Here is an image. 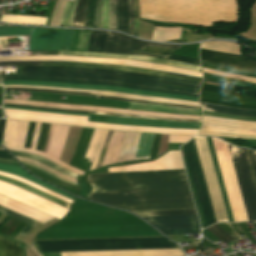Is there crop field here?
Listing matches in <instances>:
<instances>
[{"instance_id":"crop-field-38","label":"crop field","mask_w":256,"mask_h":256,"mask_svg":"<svg viewBox=\"0 0 256 256\" xmlns=\"http://www.w3.org/2000/svg\"><path fill=\"white\" fill-rule=\"evenodd\" d=\"M66 1L73 2V0H57V4H56L55 11H54L50 25H55V26L60 25V21L62 18Z\"/></svg>"},{"instance_id":"crop-field-26","label":"crop field","mask_w":256,"mask_h":256,"mask_svg":"<svg viewBox=\"0 0 256 256\" xmlns=\"http://www.w3.org/2000/svg\"><path fill=\"white\" fill-rule=\"evenodd\" d=\"M0 256H22L18 243L0 235Z\"/></svg>"},{"instance_id":"crop-field-9","label":"crop field","mask_w":256,"mask_h":256,"mask_svg":"<svg viewBox=\"0 0 256 256\" xmlns=\"http://www.w3.org/2000/svg\"><path fill=\"white\" fill-rule=\"evenodd\" d=\"M200 60L204 68L256 76V60L203 49L200 50Z\"/></svg>"},{"instance_id":"crop-field-13","label":"crop field","mask_w":256,"mask_h":256,"mask_svg":"<svg viewBox=\"0 0 256 256\" xmlns=\"http://www.w3.org/2000/svg\"><path fill=\"white\" fill-rule=\"evenodd\" d=\"M200 102L256 109V98L239 96V92L202 84Z\"/></svg>"},{"instance_id":"crop-field-45","label":"crop field","mask_w":256,"mask_h":256,"mask_svg":"<svg viewBox=\"0 0 256 256\" xmlns=\"http://www.w3.org/2000/svg\"><path fill=\"white\" fill-rule=\"evenodd\" d=\"M192 136L170 135L169 142L185 143Z\"/></svg>"},{"instance_id":"crop-field-55","label":"crop field","mask_w":256,"mask_h":256,"mask_svg":"<svg viewBox=\"0 0 256 256\" xmlns=\"http://www.w3.org/2000/svg\"><path fill=\"white\" fill-rule=\"evenodd\" d=\"M219 225L222 226L228 232L232 230L227 224L219 223Z\"/></svg>"},{"instance_id":"crop-field-12","label":"crop field","mask_w":256,"mask_h":256,"mask_svg":"<svg viewBox=\"0 0 256 256\" xmlns=\"http://www.w3.org/2000/svg\"><path fill=\"white\" fill-rule=\"evenodd\" d=\"M5 107L43 111V112H52V113H61V114L83 115V116H89L88 121L133 125V126L199 129L201 124V123L167 122V121H157V120H147V119H137V118L114 117V116H104V115L85 114V113L46 111V110H36V109L9 107V106H5Z\"/></svg>"},{"instance_id":"crop-field-22","label":"crop field","mask_w":256,"mask_h":256,"mask_svg":"<svg viewBox=\"0 0 256 256\" xmlns=\"http://www.w3.org/2000/svg\"><path fill=\"white\" fill-rule=\"evenodd\" d=\"M116 18H117V30L128 32V25H129V1L128 0H118Z\"/></svg>"},{"instance_id":"crop-field-15","label":"crop field","mask_w":256,"mask_h":256,"mask_svg":"<svg viewBox=\"0 0 256 256\" xmlns=\"http://www.w3.org/2000/svg\"><path fill=\"white\" fill-rule=\"evenodd\" d=\"M2 82L4 85L25 84V85H34V86H57V87H68V88H78V89L109 90V91H119V92L139 94V95H149V96L165 97V98L180 99V100L198 101V98H195V97L158 93V92H149V91H140V90H133L128 88L113 87V86H97V85H85V84H73V83H55V82H36V81H24V80H6Z\"/></svg>"},{"instance_id":"crop-field-57","label":"crop field","mask_w":256,"mask_h":256,"mask_svg":"<svg viewBox=\"0 0 256 256\" xmlns=\"http://www.w3.org/2000/svg\"><path fill=\"white\" fill-rule=\"evenodd\" d=\"M204 115H208V114H204ZM209 116H215V115H209ZM221 117V116H219ZM228 118V117H226ZM231 119H235V120H243V119H237V118H231ZM244 121H256V120H244Z\"/></svg>"},{"instance_id":"crop-field-59","label":"crop field","mask_w":256,"mask_h":256,"mask_svg":"<svg viewBox=\"0 0 256 256\" xmlns=\"http://www.w3.org/2000/svg\"><path fill=\"white\" fill-rule=\"evenodd\" d=\"M0 117H3V114H0Z\"/></svg>"},{"instance_id":"crop-field-14","label":"crop field","mask_w":256,"mask_h":256,"mask_svg":"<svg viewBox=\"0 0 256 256\" xmlns=\"http://www.w3.org/2000/svg\"><path fill=\"white\" fill-rule=\"evenodd\" d=\"M165 235L200 233L196 215L143 217Z\"/></svg>"},{"instance_id":"crop-field-51","label":"crop field","mask_w":256,"mask_h":256,"mask_svg":"<svg viewBox=\"0 0 256 256\" xmlns=\"http://www.w3.org/2000/svg\"><path fill=\"white\" fill-rule=\"evenodd\" d=\"M102 1L103 0H99L98 28H101V7H102Z\"/></svg>"},{"instance_id":"crop-field-47","label":"crop field","mask_w":256,"mask_h":256,"mask_svg":"<svg viewBox=\"0 0 256 256\" xmlns=\"http://www.w3.org/2000/svg\"><path fill=\"white\" fill-rule=\"evenodd\" d=\"M249 154H250L253 170H254L255 177H256V152L249 150Z\"/></svg>"},{"instance_id":"crop-field-4","label":"crop field","mask_w":256,"mask_h":256,"mask_svg":"<svg viewBox=\"0 0 256 256\" xmlns=\"http://www.w3.org/2000/svg\"><path fill=\"white\" fill-rule=\"evenodd\" d=\"M40 252L178 248L165 237L35 241Z\"/></svg>"},{"instance_id":"crop-field-37","label":"crop field","mask_w":256,"mask_h":256,"mask_svg":"<svg viewBox=\"0 0 256 256\" xmlns=\"http://www.w3.org/2000/svg\"><path fill=\"white\" fill-rule=\"evenodd\" d=\"M65 29H54L50 50H62Z\"/></svg>"},{"instance_id":"crop-field-31","label":"crop field","mask_w":256,"mask_h":256,"mask_svg":"<svg viewBox=\"0 0 256 256\" xmlns=\"http://www.w3.org/2000/svg\"><path fill=\"white\" fill-rule=\"evenodd\" d=\"M0 180L6 181V182L11 183V184H14V185H16V186H18V187H21V188H24V189H26V190H29V191H31V192H33V193H35V194H37V195H39V196H41V197H44V198H46V199H49V200H51V201H53V202H56V203H58V204H61V205H63V206H66V207H68V208H71V206H72V205L69 204V203H66V202H64V201L58 200V199L53 198V197H51V196H49V195H46V194H44V193H42V192H40V191H37V190H35V189H33V188H30V187L26 186V185H24V184H22V183H20V182H18V181H15V180H12V179H9V178H5V177H1V176H0Z\"/></svg>"},{"instance_id":"crop-field-52","label":"crop field","mask_w":256,"mask_h":256,"mask_svg":"<svg viewBox=\"0 0 256 256\" xmlns=\"http://www.w3.org/2000/svg\"><path fill=\"white\" fill-rule=\"evenodd\" d=\"M0 158L14 160L6 151L0 150Z\"/></svg>"},{"instance_id":"crop-field-58","label":"crop field","mask_w":256,"mask_h":256,"mask_svg":"<svg viewBox=\"0 0 256 256\" xmlns=\"http://www.w3.org/2000/svg\"><path fill=\"white\" fill-rule=\"evenodd\" d=\"M0 160H3V159H0ZM3 161H9V162H15L16 163V161H11V160H3Z\"/></svg>"},{"instance_id":"crop-field-32","label":"crop field","mask_w":256,"mask_h":256,"mask_svg":"<svg viewBox=\"0 0 256 256\" xmlns=\"http://www.w3.org/2000/svg\"><path fill=\"white\" fill-rule=\"evenodd\" d=\"M0 175H1V176H5V177H9V178H12V179H15V180H18V181H21V182H23V183H25V184H27V185H29V186H31V187L37 189V190H40V191H42V192H44V193H46V194H49V195H51V196H53V197L59 198V199H61V200H64V201H66V202H69V203H71V204L73 203L72 200H70V199H68V198H65V197H63V196H61V195H59V194H56V193H54V192H52V191H50V190H48V189H45V188H43V187H40V186H38V185H36V184H33V183H31V182H29V181H27V180H25V179H23V178H21V177L14 176V175H10V174H6V173H2V172H0Z\"/></svg>"},{"instance_id":"crop-field-46","label":"crop field","mask_w":256,"mask_h":256,"mask_svg":"<svg viewBox=\"0 0 256 256\" xmlns=\"http://www.w3.org/2000/svg\"><path fill=\"white\" fill-rule=\"evenodd\" d=\"M130 1V28L129 34L133 35V25H134V9H133V0Z\"/></svg>"},{"instance_id":"crop-field-43","label":"crop field","mask_w":256,"mask_h":256,"mask_svg":"<svg viewBox=\"0 0 256 256\" xmlns=\"http://www.w3.org/2000/svg\"><path fill=\"white\" fill-rule=\"evenodd\" d=\"M134 9H135V26H134V35H138L139 24H140V13H139V6L138 0H134Z\"/></svg>"},{"instance_id":"crop-field-50","label":"crop field","mask_w":256,"mask_h":256,"mask_svg":"<svg viewBox=\"0 0 256 256\" xmlns=\"http://www.w3.org/2000/svg\"><path fill=\"white\" fill-rule=\"evenodd\" d=\"M21 163H22V162H21ZM22 164L29 165V166H31V167H33V168H36V169H38V170H41V169H39V168H37V167L31 165V164H27V163H22ZM41 171H43V170H41ZM43 172H45V171H43ZM45 173H47V172H45ZM47 174L50 175V176H52V177H54V178H56V179H58V180L68 182V181H66V180L57 178V177H55V176H53V175H51V174H49V173H47ZM68 183H71V182H68ZM71 184H74V183H71ZM75 185L80 186V185H78V184H75Z\"/></svg>"},{"instance_id":"crop-field-6","label":"crop field","mask_w":256,"mask_h":256,"mask_svg":"<svg viewBox=\"0 0 256 256\" xmlns=\"http://www.w3.org/2000/svg\"><path fill=\"white\" fill-rule=\"evenodd\" d=\"M146 45L174 49V50H177L181 46V45H165V44L147 43L140 40H136L127 35H120L114 32H108L104 52L146 55V54H143ZM174 52L175 51L173 50L147 46L144 53L165 56V57H168L167 58L168 60L200 66L199 60L171 55ZM148 56H152V55H148Z\"/></svg>"},{"instance_id":"crop-field-40","label":"crop field","mask_w":256,"mask_h":256,"mask_svg":"<svg viewBox=\"0 0 256 256\" xmlns=\"http://www.w3.org/2000/svg\"><path fill=\"white\" fill-rule=\"evenodd\" d=\"M0 212L5 214V215L14 217V218H16L18 220L25 221V222H27L29 224H32V225H35L37 223L36 221H34L32 219H29V218H27V217H25L23 215H20V214L15 213V212H13L11 210H8V209H6V208H4L2 206H0Z\"/></svg>"},{"instance_id":"crop-field-48","label":"crop field","mask_w":256,"mask_h":256,"mask_svg":"<svg viewBox=\"0 0 256 256\" xmlns=\"http://www.w3.org/2000/svg\"><path fill=\"white\" fill-rule=\"evenodd\" d=\"M6 119H0V143L2 144V136L4 132V126H5Z\"/></svg>"},{"instance_id":"crop-field-41","label":"crop field","mask_w":256,"mask_h":256,"mask_svg":"<svg viewBox=\"0 0 256 256\" xmlns=\"http://www.w3.org/2000/svg\"><path fill=\"white\" fill-rule=\"evenodd\" d=\"M116 3H117V0H111L110 9H109L110 29H115V30H116V21H115Z\"/></svg>"},{"instance_id":"crop-field-30","label":"crop field","mask_w":256,"mask_h":256,"mask_svg":"<svg viewBox=\"0 0 256 256\" xmlns=\"http://www.w3.org/2000/svg\"><path fill=\"white\" fill-rule=\"evenodd\" d=\"M11 152L14 155H17V156H22V157L31 158V159H35L37 161H40V162L46 164L47 166H49V167H51V168H53V169H55V170H57V171H59L63 174H66V175H69V176H72V177H75V178L77 177V174H75V173H73V172H71L67 169H64V168H62V167L44 159V158L38 157V156L33 155V154H28V153H20V152H13V151H11Z\"/></svg>"},{"instance_id":"crop-field-28","label":"crop field","mask_w":256,"mask_h":256,"mask_svg":"<svg viewBox=\"0 0 256 256\" xmlns=\"http://www.w3.org/2000/svg\"><path fill=\"white\" fill-rule=\"evenodd\" d=\"M106 33L105 31L91 30L87 51L103 52Z\"/></svg>"},{"instance_id":"crop-field-3","label":"crop field","mask_w":256,"mask_h":256,"mask_svg":"<svg viewBox=\"0 0 256 256\" xmlns=\"http://www.w3.org/2000/svg\"><path fill=\"white\" fill-rule=\"evenodd\" d=\"M141 17L211 26L238 22L237 0H139Z\"/></svg>"},{"instance_id":"crop-field-5","label":"crop field","mask_w":256,"mask_h":256,"mask_svg":"<svg viewBox=\"0 0 256 256\" xmlns=\"http://www.w3.org/2000/svg\"><path fill=\"white\" fill-rule=\"evenodd\" d=\"M7 118L34 120L50 123L69 124L96 127L103 129L113 130H127V131H148V132H164V133H177V134H197L198 130H186V129H164V128H147V127H133L123 125L101 124L95 122H87L88 117L83 116H71L41 112H31L23 110H15L4 108Z\"/></svg>"},{"instance_id":"crop-field-16","label":"crop field","mask_w":256,"mask_h":256,"mask_svg":"<svg viewBox=\"0 0 256 256\" xmlns=\"http://www.w3.org/2000/svg\"><path fill=\"white\" fill-rule=\"evenodd\" d=\"M60 55H73V56H86V57H108V58H122V59H129V60H140V61H150L156 62L161 64H166L170 66H175L184 69H190L201 72L200 67L163 60L159 58L153 57H145V56H138V55H126V54H107V53H95V52H78V51H60Z\"/></svg>"},{"instance_id":"crop-field-54","label":"crop field","mask_w":256,"mask_h":256,"mask_svg":"<svg viewBox=\"0 0 256 256\" xmlns=\"http://www.w3.org/2000/svg\"><path fill=\"white\" fill-rule=\"evenodd\" d=\"M31 228H32V226H30V225L27 224V225L24 227V229L20 232V234L26 235L27 232H28Z\"/></svg>"},{"instance_id":"crop-field-1","label":"crop field","mask_w":256,"mask_h":256,"mask_svg":"<svg viewBox=\"0 0 256 256\" xmlns=\"http://www.w3.org/2000/svg\"><path fill=\"white\" fill-rule=\"evenodd\" d=\"M87 199L129 211L194 207L184 169L99 173Z\"/></svg>"},{"instance_id":"crop-field-7","label":"crop field","mask_w":256,"mask_h":256,"mask_svg":"<svg viewBox=\"0 0 256 256\" xmlns=\"http://www.w3.org/2000/svg\"><path fill=\"white\" fill-rule=\"evenodd\" d=\"M181 148L200 212L203 227L205 228L215 223L216 221L199 162L194 139L181 146Z\"/></svg>"},{"instance_id":"crop-field-19","label":"crop field","mask_w":256,"mask_h":256,"mask_svg":"<svg viewBox=\"0 0 256 256\" xmlns=\"http://www.w3.org/2000/svg\"><path fill=\"white\" fill-rule=\"evenodd\" d=\"M0 171H3V172H7V173H11V174H15V175H19V176H22L38 185H41L45 188H48L56 193H59L61 195H64L66 197H69L71 199H73V197L63 193V191L53 187V186H50L34 177H32L31 175H29L28 173H26L21 167H18V166H14V165H8V164H2L0 163Z\"/></svg>"},{"instance_id":"crop-field-33","label":"crop field","mask_w":256,"mask_h":256,"mask_svg":"<svg viewBox=\"0 0 256 256\" xmlns=\"http://www.w3.org/2000/svg\"><path fill=\"white\" fill-rule=\"evenodd\" d=\"M87 0H78L72 26L85 27V10Z\"/></svg>"},{"instance_id":"crop-field-34","label":"crop field","mask_w":256,"mask_h":256,"mask_svg":"<svg viewBox=\"0 0 256 256\" xmlns=\"http://www.w3.org/2000/svg\"><path fill=\"white\" fill-rule=\"evenodd\" d=\"M7 65H44V64H0V66H7ZM45 65H61V66L91 67V68H104V69L124 70V71H132V72L147 74V75H159V76H166V77H174V78H182V79H188V80H193V81H199V80H194V79H190V78H184V77H178V76H170V75H162V74L149 73V72L136 71V70H128V69L107 68V67H98V66H83V65H64V64H45ZM199 82H201V81H199Z\"/></svg>"},{"instance_id":"crop-field-49","label":"crop field","mask_w":256,"mask_h":256,"mask_svg":"<svg viewBox=\"0 0 256 256\" xmlns=\"http://www.w3.org/2000/svg\"><path fill=\"white\" fill-rule=\"evenodd\" d=\"M76 3H77V0H74L73 8H72L71 15H70V18L68 20L67 26H71L73 15H74V11H75V7H76Z\"/></svg>"},{"instance_id":"crop-field-42","label":"crop field","mask_w":256,"mask_h":256,"mask_svg":"<svg viewBox=\"0 0 256 256\" xmlns=\"http://www.w3.org/2000/svg\"><path fill=\"white\" fill-rule=\"evenodd\" d=\"M110 0L103 1V8H102V28L109 29L108 25V9H109Z\"/></svg>"},{"instance_id":"crop-field-39","label":"crop field","mask_w":256,"mask_h":256,"mask_svg":"<svg viewBox=\"0 0 256 256\" xmlns=\"http://www.w3.org/2000/svg\"><path fill=\"white\" fill-rule=\"evenodd\" d=\"M213 235L217 236L221 240L225 242H230L234 240L232 237H230L228 234H226L217 224L207 228Z\"/></svg>"},{"instance_id":"crop-field-21","label":"crop field","mask_w":256,"mask_h":256,"mask_svg":"<svg viewBox=\"0 0 256 256\" xmlns=\"http://www.w3.org/2000/svg\"><path fill=\"white\" fill-rule=\"evenodd\" d=\"M200 104L203 108V111H206V112L226 113V114H234V115H240V116L256 117V110L237 109V108L216 106V105L203 104V103H200Z\"/></svg>"},{"instance_id":"crop-field-44","label":"crop field","mask_w":256,"mask_h":256,"mask_svg":"<svg viewBox=\"0 0 256 256\" xmlns=\"http://www.w3.org/2000/svg\"><path fill=\"white\" fill-rule=\"evenodd\" d=\"M74 30L66 29L63 50H70Z\"/></svg>"},{"instance_id":"crop-field-29","label":"crop field","mask_w":256,"mask_h":256,"mask_svg":"<svg viewBox=\"0 0 256 256\" xmlns=\"http://www.w3.org/2000/svg\"><path fill=\"white\" fill-rule=\"evenodd\" d=\"M98 0H89L86 10V27L97 28Z\"/></svg>"},{"instance_id":"crop-field-10","label":"crop field","mask_w":256,"mask_h":256,"mask_svg":"<svg viewBox=\"0 0 256 256\" xmlns=\"http://www.w3.org/2000/svg\"><path fill=\"white\" fill-rule=\"evenodd\" d=\"M217 221H228L205 137H194Z\"/></svg>"},{"instance_id":"crop-field-56","label":"crop field","mask_w":256,"mask_h":256,"mask_svg":"<svg viewBox=\"0 0 256 256\" xmlns=\"http://www.w3.org/2000/svg\"><path fill=\"white\" fill-rule=\"evenodd\" d=\"M208 114H214V113H208ZM217 115H223V114H217ZM223 116H229V115H223ZM229 117H238V116H229ZM238 118H247V117H238ZM249 119H256V118H249Z\"/></svg>"},{"instance_id":"crop-field-23","label":"crop field","mask_w":256,"mask_h":256,"mask_svg":"<svg viewBox=\"0 0 256 256\" xmlns=\"http://www.w3.org/2000/svg\"><path fill=\"white\" fill-rule=\"evenodd\" d=\"M3 105H9V104H3ZM9 106H19V107H28V108H36V109L58 110V111L85 112V113H95V114L114 115V116H125V117H137V118L168 120V121H187V122H201L202 121V120H178V119H167V118H155V117L133 116V115H123V114H115V113L84 111V110H69V109L48 108V107H35V106H22V105H9Z\"/></svg>"},{"instance_id":"crop-field-24","label":"crop field","mask_w":256,"mask_h":256,"mask_svg":"<svg viewBox=\"0 0 256 256\" xmlns=\"http://www.w3.org/2000/svg\"><path fill=\"white\" fill-rule=\"evenodd\" d=\"M46 19L35 16L4 15L0 21L14 24L45 25Z\"/></svg>"},{"instance_id":"crop-field-18","label":"crop field","mask_w":256,"mask_h":256,"mask_svg":"<svg viewBox=\"0 0 256 256\" xmlns=\"http://www.w3.org/2000/svg\"><path fill=\"white\" fill-rule=\"evenodd\" d=\"M53 29L32 28L29 50H49Z\"/></svg>"},{"instance_id":"crop-field-20","label":"crop field","mask_w":256,"mask_h":256,"mask_svg":"<svg viewBox=\"0 0 256 256\" xmlns=\"http://www.w3.org/2000/svg\"><path fill=\"white\" fill-rule=\"evenodd\" d=\"M5 90L41 91V92H57V93H69V94L91 95V96H97V98H108V99H117V100H125V101L141 102V103H149V104H158V105H167V106H175V107H184V108L201 109L200 107H194V106H183V105H174V104L147 102V101H139V100H130V99L103 97V96H98L97 93H82V92L60 91V90H47V89H32V88H5Z\"/></svg>"},{"instance_id":"crop-field-17","label":"crop field","mask_w":256,"mask_h":256,"mask_svg":"<svg viewBox=\"0 0 256 256\" xmlns=\"http://www.w3.org/2000/svg\"><path fill=\"white\" fill-rule=\"evenodd\" d=\"M0 205L8 208V209H11L13 211H16L20 214H23L25 216H28L32 219H35L39 222H46L50 219H52L53 217L51 216H48V215H45L43 213H40L36 210H33L17 201H14V200H11L9 198H6V197H3L0 195Z\"/></svg>"},{"instance_id":"crop-field-8","label":"crop field","mask_w":256,"mask_h":256,"mask_svg":"<svg viewBox=\"0 0 256 256\" xmlns=\"http://www.w3.org/2000/svg\"><path fill=\"white\" fill-rule=\"evenodd\" d=\"M229 145V144H228ZM249 220H256V187L246 150L229 145Z\"/></svg>"},{"instance_id":"crop-field-35","label":"crop field","mask_w":256,"mask_h":256,"mask_svg":"<svg viewBox=\"0 0 256 256\" xmlns=\"http://www.w3.org/2000/svg\"><path fill=\"white\" fill-rule=\"evenodd\" d=\"M140 216L196 214L194 209L135 212ZM136 214V215H137Z\"/></svg>"},{"instance_id":"crop-field-53","label":"crop field","mask_w":256,"mask_h":256,"mask_svg":"<svg viewBox=\"0 0 256 256\" xmlns=\"http://www.w3.org/2000/svg\"><path fill=\"white\" fill-rule=\"evenodd\" d=\"M238 225L240 226V228L242 229V231L248 236L251 237L252 235L250 234V232L247 230V228L244 226L243 223H238Z\"/></svg>"},{"instance_id":"crop-field-2","label":"crop field","mask_w":256,"mask_h":256,"mask_svg":"<svg viewBox=\"0 0 256 256\" xmlns=\"http://www.w3.org/2000/svg\"><path fill=\"white\" fill-rule=\"evenodd\" d=\"M23 74L0 75L1 80L24 79L56 82L106 84L140 90L198 97L201 83L104 69L22 66Z\"/></svg>"},{"instance_id":"crop-field-27","label":"crop field","mask_w":256,"mask_h":256,"mask_svg":"<svg viewBox=\"0 0 256 256\" xmlns=\"http://www.w3.org/2000/svg\"><path fill=\"white\" fill-rule=\"evenodd\" d=\"M154 135L141 134L136 152V159L150 158Z\"/></svg>"},{"instance_id":"crop-field-11","label":"crop field","mask_w":256,"mask_h":256,"mask_svg":"<svg viewBox=\"0 0 256 256\" xmlns=\"http://www.w3.org/2000/svg\"><path fill=\"white\" fill-rule=\"evenodd\" d=\"M0 194L6 197L12 198L14 200H17L29 207H32L45 214L54 216L58 219H61L69 211V209L67 208H64L60 205H57L53 202H50L46 199L36 196L14 185L4 183L1 181H0Z\"/></svg>"},{"instance_id":"crop-field-36","label":"crop field","mask_w":256,"mask_h":256,"mask_svg":"<svg viewBox=\"0 0 256 256\" xmlns=\"http://www.w3.org/2000/svg\"><path fill=\"white\" fill-rule=\"evenodd\" d=\"M31 27H0L1 36L30 35Z\"/></svg>"},{"instance_id":"crop-field-25","label":"crop field","mask_w":256,"mask_h":256,"mask_svg":"<svg viewBox=\"0 0 256 256\" xmlns=\"http://www.w3.org/2000/svg\"><path fill=\"white\" fill-rule=\"evenodd\" d=\"M3 63H30V62H3ZM31 63H74V64H86V65H99V66H110V67L127 68V66H122V65L100 64V63H86V62H72V61H31ZM128 68L137 69V70H143V71L156 72V73H162V74H171V75L185 76V77L195 78V79H199V80L202 79V78H199V77L181 75V74H176V73H171V72L155 71V70L133 68V67H128Z\"/></svg>"}]
</instances>
